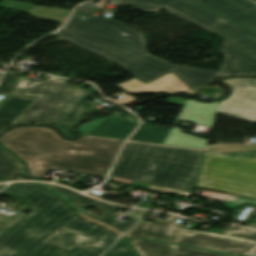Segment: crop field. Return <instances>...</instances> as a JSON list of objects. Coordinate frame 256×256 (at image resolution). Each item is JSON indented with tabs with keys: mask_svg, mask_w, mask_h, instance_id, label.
<instances>
[{
	"mask_svg": "<svg viewBox=\"0 0 256 256\" xmlns=\"http://www.w3.org/2000/svg\"><path fill=\"white\" fill-rule=\"evenodd\" d=\"M122 141L84 134L64 141L42 127H18L0 137L2 145L27 163L32 177L43 176L49 168L105 177Z\"/></svg>",
	"mask_w": 256,
	"mask_h": 256,
	"instance_id": "crop-field-1",
	"label": "crop field"
},
{
	"mask_svg": "<svg viewBox=\"0 0 256 256\" xmlns=\"http://www.w3.org/2000/svg\"><path fill=\"white\" fill-rule=\"evenodd\" d=\"M203 151L127 142L109 179L188 197Z\"/></svg>",
	"mask_w": 256,
	"mask_h": 256,
	"instance_id": "crop-field-2",
	"label": "crop field"
},
{
	"mask_svg": "<svg viewBox=\"0 0 256 256\" xmlns=\"http://www.w3.org/2000/svg\"><path fill=\"white\" fill-rule=\"evenodd\" d=\"M2 192L23 200L35 211L0 235V246L12 250L0 256H21L80 216L66 200L36 183H12Z\"/></svg>",
	"mask_w": 256,
	"mask_h": 256,
	"instance_id": "crop-field-3",
	"label": "crop field"
},
{
	"mask_svg": "<svg viewBox=\"0 0 256 256\" xmlns=\"http://www.w3.org/2000/svg\"><path fill=\"white\" fill-rule=\"evenodd\" d=\"M55 35L118 65L147 54L142 33L115 20L75 14Z\"/></svg>",
	"mask_w": 256,
	"mask_h": 256,
	"instance_id": "crop-field-4",
	"label": "crop field"
},
{
	"mask_svg": "<svg viewBox=\"0 0 256 256\" xmlns=\"http://www.w3.org/2000/svg\"><path fill=\"white\" fill-rule=\"evenodd\" d=\"M221 53L226 55L224 68L219 73L198 68L173 65L154 56L145 55L118 68L149 83L169 72L177 75L191 89L211 85L226 74L256 75V57L224 41Z\"/></svg>",
	"mask_w": 256,
	"mask_h": 256,
	"instance_id": "crop-field-5",
	"label": "crop field"
},
{
	"mask_svg": "<svg viewBox=\"0 0 256 256\" xmlns=\"http://www.w3.org/2000/svg\"><path fill=\"white\" fill-rule=\"evenodd\" d=\"M144 13L163 9L256 56V35L188 0H109ZM218 18L226 20L221 23Z\"/></svg>",
	"mask_w": 256,
	"mask_h": 256,
	"instance_id": "crop-field-6",
	"label": "crop field"
},
{
	"mask_svg": "<svg viewBox=\"0 0 256 256\" xmlns=\"http://www.w3.org/2000/svg\"><path fill=\"white\" fill-rule=\"evenodd\" d=\"M195 186L256 198V156L232 158L205 153Z\"/></svg>",
	"mask_w": 256,
	"mask_h": 256,
	"instance_id": "crop-field-7",
	"label": "crop field"
},
{
	"mask_svg": "<svg viewBox=\"0 0 256 256\" xmlns=\"http://www.w3.org/2000/svg\"><path fill=\"white\" fill-rule=\"evenodd\" d=\"M68 81L48 75L43 82H33L22 77L15 93L32 94L40 98L11 124L46 123L57 127L76 87L67 84Z\"/></svg>",
	"mask_w": 256,
	"mask_h": 256,
	"instance_id": "crop-field-8",
	"label": "crop field"
},
{
	"mask_svg": "<svg viewBox=\"0 0 256 256\" xmlns=\"http://www.w3.org/2000/svg\"><path fill=\"white\" fill-rule=\"evenodd\" d=\"M179 244L224 253L248 256L256 249V241L196 230L192 236L180 234Z\"/></svg>",
	"mask_w": 256,
	"mask_h": 256,
	"instance_id": "crop-field-9",
	"label": "crop field"
},
{
	"mask_svg": "<svg viewBox=\"0 0 256 256\" xmlns=\"http://www.w3.org/2000/svg\"><path fill=\"white\" fill-rule=\"evenodd\" d=\"M256 32V2L252 0H192Z\"/></svg>",
	"mask_w": 256,
	"mask_h": 256,
	"instance_id": "crop-field-10",
	"label": "crop field"
},
{
	"mask_svg": "<svg viewBox=\"0 0 256 256\" xmlns=\"http://www.w3.org/2000/svg\"><path fill=\"white\" fill-rule=\"evenodd\" d=\"M230 88L231 94L220 102L218 112L256 122V88Z\"/></svg>",
	"mask_w": 256,
	"mask_h": 256,
	"instance_id": "crop-field-11",
	"label": "crop field"
},
{
	"mask_svg": "<svg viewBox=\"0 0 256 256\" xmlns=\"http://www.w3.org/2000/svg\"><path fill=\"white\" fill-rule=\"evenodd\" d=\"M22 77V72L5 73L0 83V93L12 95L0 106V132L13 122L34 100L16 98L13 94Z\"/></svg>",
	"mask_w": 256,
	"mask_h": 256,
	"instance_id": "crop-field-12",
	"label": "crop field"
},
{
	"mask_svg": "<svg viewBox=\"0 0 256 256\" xmlns=\"http://www.w3.org/2000/svg\"><path fill=\"white\" fill-rule=\"evenodd\" d=\"M176 216L169 221L158 220L154 223L140 221L125 237L127 239L148 237L169 242H177L181 225L175 223Z\"/></svg>",
	"mask_w": 256,
	"mask_h": 256,
	"instance_id": "crop-field-13",
	"label": "crop field"
},
{
	"mask_svg": "<svg viewBox=\"0 0 256 256\" xmlns=\"http://www.w3.org/2000/svg\"><path fill=\"white\" fill-rule=\"evenodd\" d=\"M43 242L64 249L80 247L95 253V250L99 248L96 244L98 242L104 243V237L64 227Z\"/></svg>",
	"mask_w": 256,
	"mask_h": 256,
	"instance_id": "crop-field-14",
	"label": "crop field"
},
{
	"mask_svg": "<svg viewBox=\"0 0 256 256\" xmlns=\"http://www.w3.org/2000/svg\"><path fill=\"white\" fill-rule=\"evenodd\" d=\"M137 125L136 123H130L119 118L108 117L80 126L79 132L126 139Z\"/></svg>",
	"mask_w": 256,
	"mask_h": 256,
	"instance_id": "crop-field-15",
	"label": "crop field"
},
{
	"mask_svg": "<svg viewBox=\"0 0 256 256\" xmlns=\"http://www.w3.org/2000/svg\"><path fill=\"white\" fill-rule=\"evenodd\" d=\"M116 86L126 92L135 93L177 91L190 89L172 72L147 85L139 81L138 79L134 78L132 80L126 81Z\"/></svg>",
	"mask_w": 256,
	"mask_h": 256,
	"instance_id": "crop-field-16",
	"label": "crop field"
},
{
	"mask_svg": "<svg viewBox=\"0 0 256 256\" xmlns=\"http://www.w3.org/2000/svg\"><path fill=\"white\" fill-rule=\"evenodd\" d=\"M86 85L91 86V90L84 89ZM95 92L96 89L89 83L78 85L58 126L72 129L77 119L95 104L86 101L87 98Z\"/></svg>",
	"mask_w": 256,
	"mask_h": 256,
	"instance_id": "crop-field-17",
	"label": "crop field"
},
{
	"mask_svg": "<svg viewBox=\"0 0 256 256\" xmlns=\"http://www.w3.org/2000/svg\"><path fill=\"white\" fill-rule=\"evenodd\" d=\"M218 106L219 102L207 104L188 99L176 124H178L180 120L199 124L200 118H198V116L202 114L206 117L202 120L201 124L212 127Z\"/></svg>",
	"mask_w": 256,
	"mask_h": 256,
	"instance_id": "crop-field-18",
	"label": "crop field"
},
{
	"mask_svg": "<svg viewBox=\"0 0 256 256\" xmlns=\"http://www.w3.org/2000/svg\"><path fill=\"white\" fill-rule=\"evenodd\" d=\"M140 256H171L176 245L148 239L129 241Z\"/></svg>",
	"mask_w": 256,
	"mask_h": 256,
	"instance_id": "crop-field-19",
	"label": "crop field"
},
{
	"mask_svg": "<svg viewBox=\"0 0 256 256\" xmlns=\"http://www.w3.org/2000/svg\"><path fill=\"white\" fill-rule=\"evenodd\" d=\"M22 256H97L89 251L75 248L73 250H64L62 248L45 244L41 242L29 252Z\"/></svg>",
	"mask_w": 256,
	"mask_h": 256,
	"instance_id": "crop-field-20",
	"label": "crop field"
},
{
	"mask_svg": "<svg viewBox=\"0 0 256 256\" xmlns=\"http://www.w3.org/2000/svg\"><path fill=\"white\" fill-rule=\"evenodd\" d=\"M169 132L170 129L143 123L129 140L163 144Z\"/></svg>",
	"mask_w": 256,
	"mask_h": 256,
	"instance_id": "crop-field-21",
	"label": "crop field"
},
{
	"mask_svg": "<svg viewBox=\"0 0 256 256\" xmlns=\"http://www.w3.org/2000/svg\"><path fill=\"white\" fill-rule=\"evenodd\" d=\"M208 139L186 134L179 129L172 128L164 144L204 149Z\"/></svg>",
	"mask_w": 256,
	"mask_h": 256,
	"instance_id": "crop-field-22",
	"label": "crop field"
},
{
	"mask_svg": "<svg viewBox=\"0 0 256 256\" xmlns=\"http://www.w3.org/2000/svg\"><path fill=\"white\" fill-rule=\"evenodd\" d=\"M23 166L24 164L0 146V182L10 181Z\"/></svg>",
	"mask_w": 256,
	"mask_h": 256,
	"instance_id": "crop-field-23",
	"label": "crop field"
},
{
	"mask_svg": "<svg viewBox=\"0 0 256 256\" xmlns=\"http://www.w3.org/2000/svg\"><path fill=\"white\" fill-rule=\"evenodd\" d=\"M42 184V183H40ZM56 192H58L59 194H61L62 196L66 197L67 199H69L71 201V203L75 206V208L79 211V213H84L82 211V209L80 208L83 205H90V206H94L97 203H99L100 201L97 200H93L90 199L86 196H83L79 193H76L74 191L68 190L66 188L60 187V186H56V185H49V184H42Z\"/></svg>",
	"mask_w": 256,
	"mask_h": 256,
	"instance_id": "crop-field-24",
	"label": "crop field"
},
{
	"mask_svg": "<svg viewBox=\"0 0 256 256\" xmlns=\"http://www.w3.org/2000/svg\"><path fill=\"white\" fill-rule=\"evenodd\" d=\"M27 13H29L31 16L38 19L51 20V21L64 23L70 11L60 9V8H42V7L35 6L31 10L27 11Z\"/></svg>",
	"mask_w": 256,
	"mask_h": 256,
	"instance_id": "crop-field-25",
	"label": "crop field"
},
{
	"mask_svg": "<svg viewBox=\"0 0 256 256\" xmlns=\"http://www.w3.org/2000/svg\"><path fill=\"white\" fill-rule=\"evenodd\" d=\"M94 207L102 211V218H98L93 212L90 211H87L82 215H85L108 226H112L117 221V219H115L117 210L116 205L101 202Z\"/></svg>",
	"mask_w": 256,
	"mask_h": 256,
	"instance_id": "crop-field-26",
	"label": "crop field"
},
{
	"mask_svg": "<svg viewBox=\"0 0 256 256\" xmlns=\"http://www.w3.org/2000/svg\"><path fill=\"white\" fill-rule=\"evenodd\" d=\"M67 227L95 233L100 236H103V234L109 229L103 225H100V224L93 222L89 219H86L82 216L78 217L73 222L68 224Z\"/></svg>",
	"mask_w": 256,
	"mask_h": 256,
	"instance_id": "crop-field-27",
	"label": "crop field"
},
{
	"mask_svg": "<svg viewBox=\"0 0 256 256\" xmlns=\"http://www.w3.org/2000/svg\"><path fill=\"white\" fill-rule=\"evenodd\" d=\"M172 256H232L206 250L177 245Z\"/></svg>",
	"mask_w": 256,
	"mask_h": 256,
	"instance_id": "crop-field-28",
	"label": "crop field"
},
{
	"mask_svg": "<svg viewBox=\"0 0 256 256\" xmlns=\"http://www.w3.org/2000/svg\"><path fill=\"white\" fill-rule=\"evenodd\" d=\"M145 212L146 211H144V210H138V209L132 210L128 214L124 215L125 217L130 218V221L129 222L118 221V223L114 226V229L120 233H124L132 225H134L139 219H141L143 217V215L145 214Z\"/></svg>",
	"mask_w": 256,
	"mask_h": 256,
	"instance_id": "crop-field-29",
	"label": "crop field"
},
{
	"mask_svg": "<svg viewBox=\"0 0 256 256\" xmlns=\"http://www.w3.org/2000/svg\"><path fill=\"white\" fill-rule=\"evenodd\" d=\"M103 256H135V254L130 249V247L125 243V241L121 238L119 242Z\"/></svg>",
	"mask_w": 256,
	"mask_h": 256,
	"instance_id": "crop-field-30",
	"label": "crop field"
},
{
	"mask_svg": "<svg viewBox=\"0 0 256 256\" xmlns=\"http://www.w3.org/2000/svg\"><path fill=\"white\" fill-rule=\"evenodd\" d=\"M222 234L256 240V231L249 230V229L226 227L225 230L222 232Z\"/></svg>",
	"mask_w": 256,
	"mask_h": 256,
	"instance_id": "crop-field-31",
	"label": "crop field"
},
{
	"mask_svg": "<svg viewBox=\"0 0 256 256\" xmlns=\"http://www.w3.org/2000/svg\"><path fill=\"white\" fill-rule=\"evenodd\" d=\"M223 82L230 86L256 87V78H228Z\"/></svg>",
	"mask_w": 256,
	"mask_h": 256,
	"instance_id": "crop-field-32",
	"label": "crop field"
},
{
	"mask_svg": "<svg viewBox=\"0 0 256 256\" xmlns=\"http://www.w3.org/2000/svg\"><path fill=\"white\" fill-rule=\"evenodd\" d=\"M224 203H226L225 207L237 208L243 204L256 205V200L231 195L228 199L224 201Z\"/></svg>",
	"mask_w": 256,
	"mask_h": 256,
	"instance_id": "crop-field-33",
	"label": "crop field"
},
{
	"mask_svg": "<svg viewBox=\"0 0 256 256\" xmlns=\"http://www.w3.org/2000/svg\"><path fill=\"white\" fill-rule=\"evenodd\" d=\"M119 237L113 230H110L105 237V244L96 252L101 255Z\"/></svg>",
	"mask_w": 256,
	"mask_h": 256,
	"instance_id": "crop-field-34",
	"label": "crop field"
},
{
	"mask_svg": "<svg viewBox=\"0 0 256 256\" xmlns=\"http://www.w3.org/2000/svg\"><path fill=\"white\" fill-rule=\"evenodd\" d=\"M34 6L35 5L14 1L13 4L10 6V8H15V9L27 11V10H29V8H32Z\"/></svg>",
	"mask_w": 256,
	"mask_h": 256,
	"instance_id": "crop-field-35",
	"label": "crop field"
},
{
	"mask_svg": "<svg viewBox=\"0 0 256 256\" xmlns=\"http://www.w3.org/2000/svg\"><path fill=\"white\" fill-rule=\"evenodd\" d=\"M120 95H123V97L121 99L114 100V99L110 98V100L123 105V104H125V103H127V102H129L131 100L137 99V98H135V97H133V96H131L129 94H126V93H123V94H120Z\"/></svg>",
	"mask_w": 256,
	"mask_h": 256,
	"instance_id": "crop-field-36",
	"label": "crop field"
},
{
	"mask_svg": "<svg viewBox=\"0 0 256 256\" xmlns=\"http://www.w3.org/2000/svg\"><path fill=\"white\" fill-rule=\"evenodd\" d=\"M186 101L187 99H183V98L168 97L166 102L184 106Z\"/></svg>",
	"mask_w": 256,
	"mask_h": 256,
	"instance_id": "crop-field-37",
	"label": "crop field"
},
{
	"mask_svg": "<svg viewBox=\"0 0 256 256\" xmlns=\"http://www.w3.org/2000/svg\"><path fill=\"white\" fill-rule=\"evenodd\" d=\"M195 230L182 228L180 233L192 235Z\"/></svg>",
	"mask_w": 256,
	"mask_h": 256,
	"instance_id": "crop-field-38",
	"label": "crop field"
},
{
	"mask_svg": "<svg viewBox=\"0 0 256 256\" xmlns=\"http://www.w3.org/2000/svg\"><path fill=\"white\" fill-rule=\"evenodd\" d=\"M12 1L10 0H5L3 2L0 3L1 6L7 7Z\"/></svg>",
	"mask_w": 256,
	"mask_h": 256,
	"instance_id": "crop-field-39",
	"label": "crop field"
},
{
	"mask_svg": "<svg viewBox=\"0 0 256 256\" xmlns=\"http://www.w3.org/2000/svg\"><path fill=\"white\" fill-rule=\"evenodd\" d=\"M174 93H185L187 95H195L192 91H187V92H174Z\"/></svg>",
	"mask_w": 256,
	"mask_h": 256,
	"instance_id": "crop-field-40",
	"label": "crop field"
},
{
	"mask_svg": "<svg viewBox=\"0 0 256 256\" xmlns=\"http://www.w3.org/2000/svg\"><path fill=\"white\" fill-rule=\"evenodd\" d=\"M6 184H2L0 185V190L5 186Z\"/></svg>",
	"mask_w": 256,
	"mask_h": 256,
	"instance_id": "crop-field-41",
	"label": "crop field"
},
{
	"mask_svg": "<svg viewBox=\"0 0 256 256\" xmlns=\"http://www.w3.org/2000/svg\"><path fill=\"white\" fill-rule=\"evenodd\" d=\"M2 248H4V247H0V250L2 249ZM6 249V248H5ZM8 250V249H7ZM10 251V250H9ZM0 252H2V251H0Z\"/></svg>",
	"mask_w": 256,
	"mask_h": 256,
	"instance_id": "crop-field-42",
	"label": "crop field"
},
{
	"mask_svg": "<svg viewBox=\"0 0 256 256\" xmlns=\"http://www.w3.org/2000/svg\"><path fill=\"white\" fill-rule=\"evenodd\" d=\"M218 21H221V22H223L224 20H221V19H219Z\"/></svg>",
	"mask_w": 256,
	"mask_h": 256,
	"instance_id": "crop-field-43",
	"label": "crop field"
},
{
	"mask_svg": "<svg viewBox=\"0 0 256 256\" xmlns=\"http://www.w3.org/2000/svg\"><path fill=\"white\" fill-rule=\"evenodd\" d=\"M254 256H256V254Z\"/></svg>",
	"mask_w": 256,
	"mask_h": 256,
	"instance_id": "crop-field-44",
	"label": "crop field"
},
{
	"mask_svg": "<svg viewBox=\"0 0 256 256\" xmlns=\"http://www.w3.org/2000/svg\"><path fill=\"white\" fill-rule=\"evenodd\" d=\"M0 76H1V74H0Z\"/></svg>",
	"mask_w": 256,
	"mask_h": 256,
	"instance_id": "crop-field-45",
	"label": "crop field"
},
{
	"mask_svg": "<svg viewBox=\"0 0 256 256\" xmlns=\"http://www.w3.org/2000/svg\"><path fill=\"white\" fill-rule=\"evenodd\" d=\"M256 220V219H255Z\"/></svg>",
	"mask_w": 256,
	"mask_h": 256,
	"instance_id": "crop-field-46",
	"label": "crop field"
}]
</instances>
